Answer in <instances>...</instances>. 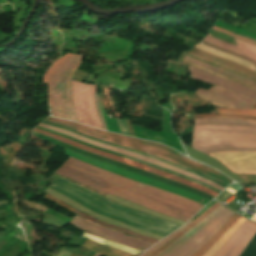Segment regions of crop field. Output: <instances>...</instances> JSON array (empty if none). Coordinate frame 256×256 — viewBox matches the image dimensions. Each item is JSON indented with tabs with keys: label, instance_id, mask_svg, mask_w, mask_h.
I'll return each mask as SVG.
<instances>
[{
	"label": "crop field",
	"instance_id": "5a996713",
	"mask_svg": "<svg viewBox=\"0 0 256 256\" xmlns=\"http://www.w3.org/2000/svg\"><path fill=\"white\" fill-rule=\"evenodd\" d=\"M70 224L76 226L77 228L83 231L93 233L95 235L101 236L103 238L112 240L114 242H117L123 245H127L139 250H141L142 248H145L144 250H141V251H145L147 248L153 245V244H149L147 242L141 241L139 239L131 238L118 231L109 230L107 228L98 226L78 216H76Z\"/></svg>",
	"mask_w": 256,
	"mask_h": 256
},
{
	"label": "crop field",
	"instance_id": "214f88e0",
	"mask_svg": "<svg viewBox=\"0 0 256 256\" xmlns=\"http://www.w3.org/2000/svg\"><path fill=\"white\" fill-rule=\"evenodd\" d=\"M244 221H246V219L241 217L237 222H235L203 256H213L226 243V241L234 234V232L240 227V225Z\"/></svg>",
	"mask_w": 256,
	"mask_h": 256
},
{
	"label": "crop field",
	"instance_id": "22f410ed",
	"mask_svg": "<svg viewBox=\"0 0 256 256\" xmlns=\"http://www.w3.org/2000/svg\"><path fill=\"white\" fill-rule=\"evenodd\" d=\"M256 233V223L246 221L214 256H239Z\"/></svg>",
	"mask_w": 256,
	"mask_h": 256
},
{
	"label": "crop field",
	"instance_id": "5142ce71",
	"mask_svg": "<svg viewBox=\"0 0 256 256\" xmlns=\"http://www.w3.org/2000/svg\"><path fill=\"white\" fill-rule=\"evenodd\" d=\"M225 207L219 206L213 210L208 216H206L200 223H198L194 228H192L188 233H186L182 238L176 241L174 244L169 246L163 252L157 256H170L181 246H183L187 241L194 237L198 232H200L206 225H208Z\"/></svg>",
	"mask_w": 256,
	"mask_h": 256
},
{
	"label": "crop field",
	"instance_id": "3316defc",
	"mask_svg": "<svg viewBox=\"0 0 256 256\" xmlns=\"http://www.w3.org/2000/svg\"><path fill=\"white\" fill-rule=\"evenodd\" d=\"M195 94L218 107L252 109L255 104L253 100L215 86L207 91L198 89Z\"/></svg>",
	"mask_w": 256,
	"mask_h": 256
},
{
	"label": "crop field",
	"instance_id": "00972430",
	"mask_svg": "<svg viewBox=\"0 0 256 256\" xmlns=\"http://www.w3.org/2000/svg\"><path fill=\"white\" fill-rule=\"evenodd\" d=\"M185 61H188V62L197 64V65H200V66L205 67V68H207V69H210V70H212V71L218 72V73H220V74L226 75V76H228V77L234 78V79H236V80L242 81V82H244V83H247V84H250V85L256 87V83H255V82H253V81H251V80H249V79H246V78L237 76V75H235V74H232V73H230V72H227V71H223V70L214 68V67H212V66L206 65V64H204V63H201V62H199V61H197V60H194V59H191V58H188V57H186Z\"/></svg>",
	"mask_w": 256,
	"mask_h": 256
},
{
	"label": "crop field",
	"instance_id": "a9b5d70f",
	"mask_svg": "<svg viewBox=\"0 0 256 256\" xmlns=\"http://www.w3.org/2000/svg\"><path fill=\"white\" fill-rule=\"evenodd\" d=\"M75 213H77V214H79V215H81V216H83V217H85V218H87V219H89V220H91V221H93V222L99 224V225H102V226H104V227H108V228H112V229L119 230V231H121V232H123V233H125V234L135 236V237L140 238V239H142V240H144V241H147V242H150V243H153V244H155L156 242H158V240H154V239H150V238L143 237V236H141V235H139V234H136V233H134V232H132V231H130V230L122 229V228L117 227V226H113V225H110V224L103 223V222H101V221H98V220H96V219H94V218H91V217H89V216H87V215H85V214H83V213H81V212H78V211H76V210H75Z\"/></svg>",
	"mask_w": 256,
	"mask_h": 256
},
{
	"label": "crop field",
	"instance_id": "bd1437ed",
	"mask_svg": "<svg viewBox=\"0 0 256 256\" xmlns=\"http://www.w3.org/2000/svg\"><path fill=\"white\" fill-rule=\"evenodd\" d=\"M218 151H256V149H242V148H217V149H210L202 151L206 154Z\"/></svg>",
	"mask_w": 256,
	"mask_h": 256
},
{
	"label": "crop field",
	"instance_id": "8a807250",
	"mask_svg": "<svg viewBox=\"0 0 256 256\" xmlns=\"http://www.w3.org/2000/svg\"><path fill=\"white\" fill-rule=\"evenodd\" d=\"M56 172L96 190L107 192L184 222L203 208V205L189 199L125 179L72 157Z\"/></svg>",
	"mask_w": 256,
	"mask_h": 256
},
{
	"label": "crop field",
	"instance_id": "34b2d1b8",
	"mask_svg": "<svg viewBox=\"0 0 256 256\" xmlns=\"http://www.w3.org/2000/svg\"><path fill=\"white\" fill-rule=\"evenodd\" d=\"M45 121L76 130L78 132H81V133L88 135L90 137H93V138H97V139H100L103 141H107L110 143H114L117 145H121L124 147H128L131 149H135L138 151H142L145 153L155 155L157 157L163 158L165 160L176 163L183 167L197 171L204 175H208V176L220 181L221 183H223L226 186L228 184L232 183V181L229 180L227 177H225L224 175H222L210 168H207L205 166L199 165L197 163L191 162L189 160H186V159H183L181 157L171 154L172 149L165 147L161 144L152 143V142H148V141H144V140H140V139L124 136V135L99 131V130L88 128V127H85V126H82V125H79L76 123H72V122H69L66 120L55 119V118H51V117H48Z\"/></svg>",
	"mask_w": 256,
	"mask_h": 256
},
{
	"label": "crop field",
	"instance_id": "412701ff",
	"mask_svg": "<svg viewBox=\"0 0 256 256\" xmlns=\"http://www.w3.org/2000/svg\"><path fill=\"white\" fill-rule=\"evenodd\" d=\"M83 58L68 54L58 59L45 74L53 116L77 121L71 101V78Z\"/></svg>",
	"mask_w": 256,
	"mask_h": 256
},
{
	"label": "crop field",
	"instance_id": "ac0d7876",
	"mask_svg": "<svg viewBox=\"0 0 256 256\" xmlns=\"http://www.w3.org/2000/svg\"><path fill=\"white\" fill-rule=\"evenodd\" d=\"M52 177L54 180L50 188L76 200L82 205L102 215L111 217L136 228L156 233L163 237L180 227V225L121 206L57 175L53 174Z\"/></svg>",
	"mask_w": 256,
	"mask_h": 256
},
{
	"label": "crop field",
	"instance_id": "92a150f3",
	"mask_svg": "<svg viewBox=\"0 0 256 256\" xmlns=\"http://www.w3.org/2000/svg\"><path fill=\"white\" fill-rule=\"evenodd\" d=\"M198 124H225V125H250V126H256V121L233 120V119H218V118L195 119L194 125H198Z\"/></svg>",
	"mask_w": 256,
	"mask_h": 256
},
{
	"label": "crop field",
	"instance_id": "eef30255",
	"mask_svg": "<svg viewBox=\"0 0 256 256\" xmlns=\"http://www.w3.org/2000/svg\"><path fill=\"white\" fill-rule=\"evenodd\" d=\"M84 237L86 238H89L93 241H96L100 244H103V245H108V246H111V247H114V248H117V249H120L122 251H125V252H128V253H131L133 255L139 253L140 251H137L135 249H132V248H129V247H126V246H122V245H119V244H116V243H113L111 241H108V240H105V239H102V238H99L97 236H94V235H91L89 233H84L83 235Z\"/></svg>",
	"mask_w": 256,
	"mask_h": 256
},
{
	"label": "crop field",
	"instance_id": "4177f3b9",
	"mask_svg": "<svg viewBox=\"0 0 256 256\" xmlns=\"http://www.w3.org/2000/svg\"><path fill=\"white\" fill-rule=\"evenodd\" d=\"M43 123H45V122H43ZM46 124H49V123H46ZM50 125H53V126H56V127H59V128H63V129L69 130V131H72V130H70V129H67V128H64V127H61V126H58V125H54V124H50ZM72 132H74V131H72ZM75 133H77V132H75ZM77 134H79V133H77ZM79 135L85 136V135H82V134H79ZM85 137H87V136H85ZM88 138H90V137H88ZM91 139H93V138H91ZM94 140H97V139H94ZM97 141H100V140H97ZM100 142H103V141H100ZM103 143H106V144H109V145H112V146H116V147H120V148H123V149H127V150H130V151L139 153V154H141V155H144V156H147V157H150V158H153V159H156V160H159V161L168 163V164L173 165V166H176V167H178V168H181V169H184V170L193 172V173H195V174H197V175H200V176H202V177H204V178H206V179L212 180V181H214V182L220 184V185L223 186V187H226V186H224L223 184H221V183L215 181L214 179H212V178H210V177L204 176V175H202V174H199V173H197V172H194V171H191V170H189V169L183 168V167H181V166L175 165V164H173V163H170V162H168V161H165V160H162V159H160V158L154 157V156H152V155L145 154V153H142V152H138V151H135V150H131V149H128V148H124V147H121V146H117V145H114V144H110V143H107V142H103Z\"/></svg>",
	"mask_w": 256,
	"mask_h": 256
},
{
	"label": "crop field",
	"instance_id": "f4fd0767",
	"mask_svg": "<svg viewBox=\"0 0 256 256\" xmlns=\"http://www.w3.org/2000/svg\"><path fill=\"white\" fill-rule=\"evenodd\" d=\"M192 147L199 151L217 147L256 148V127L194 126Z\"/></svg>",
	"mask_w": 256,
	"mask_h": 256
},
{
	"label": "crop field",
	"instance_id": "e1f06a70",
	"mask_svg": "<svg viewBox=\"0 0 256 256\" xmlns=\"http://www.w3.org/2000/svg\"><path fill=\"white\" fill-rule=\"evenodd\" d=\"M238 200H240L239 198H235L233 201H231L227 206L229 207V208H231V209H233V210H237L239 207H240V203H238V204H236L235 202L236 201H238ZM241 201V200H240ZM243 205V204H242ZM241 205V206H242Z\"/></svg>",
	"mask_w": 256,
	"mask_h": 256
},
{
	"label": "crop field",
	"instance_id": "1d83c4d3",
	"mask_svg": "<svg viewBox=\"0 0 256 256\" xmlns=\"http://www.w3.org/2000/svg\"><path fill=\"white\" fill-rule=\"evenodd\" d=\"M202 117H219V118H235V119L256 120V117H237V116H222V115H196L195 118H202Z\"/></svg>",
	"mask_w": 256,
	"mask_h": 256
},
{
	"label": "crop field",
	"instance_id": "120bbe31",
	"mask_svg": "<svg viewBox=\"0 0 256 256\" xmlns=\"http://www.w3.org/2000/svg\"><path fill=\"white\" fill-rule=\"evenodd\" d=\"M202 43H203V44H206V45H208V46H210V47L216 48V49H218V50L224 51V52H226V53L232 54V55H234V56H237V57H239V58H241V59H244V60H246V61H248V62H252L253 65L256 67V62H254V61H252V60H250V59H247V58L242 57V56H240V55H238V54H235V53H232V52L223 50V49H221V48L215 47V46L210 45V44H208V43H205V42H203V41H202Z\"/></svg>",
	"mask_w": 256,
	"mask_h": 256
},
{
	"label": "crop field",
	"instance_id": "28ad6ade",
	"mask_svg": "<svg viewBox=\"0 0 256 256\" xmlns=\"http://www.w3.org/2000/svg\"><path fill=\"white\" fill-rule=\"evenodd\" d=\"M235 212L225 209L221 212L205 229L187 242L172 256H192L200 247H202L234 214Z\"/></svg>",
	"mask_w": 256,
	"mask_h": 256
},
{
	"label": "crop field",
	"instance_id": "cbeb9de0",
	"mask_svg": "<svg viewBox=\"0 0 256 256\" xmlns=\"http://www.w3.org/2000/svg\"><path fill=\"white\" fill-rule=\"evenodd\" d=\"M189 70H191V78L201 80L213 85L221 86L223 88L248 96L256 100V91L253 89L244 87L242 85L236 84L234 82H231L229 80L207 73L197 68L189 67Z\"/></svg>",
	"mask_w": 256,
	"mask_h": 256
},
{
	"label": "crop field",
	"instance_id": "733c2abd",
	"mask_svg": "<svg viewBox=\"0 0 256 256\" xmlns=\"http://www.w3.org/2000/svg\"><path fill=\"white\" fill-rule=\"evenodd\" d=\"M188 53L194 55V56H197V57H200L202 59H205V60H208V61H211V62H214V63H217V64H220L224 67H227L231 70H234L238 73H241V74H244V75H247L249 77H252V78H255L256 79V72L253 71V70H250L248 68H245L243 66H240L238 64H235V63H232L226 59H222V58H218V57H215V56H212L210 54H207V53H204L202 51H199L195 48H192Z\"/></svg>",
	"mask_w": 256,
	"mask_h": 256
},
{
	"label": "crop field",
	"instance_id": "dd49c442",
	"mask_svg": "<svg viewBox=\"0 0 256 256\" xmlns=\"http://www.w3.org/2000/svg\"><path fill=\"white\" fill-rule=\"evenodd\" d=\"M72 96L79 121L91 127L102 129L94 106V85L72 81Z\"/></svg>",
	"mask_w": 256,
	"mask_h": 256
},
{
	"label": "crop field",
	"instance_id": "b80d0937",
	"mask_svg": "<svg viewBox=\"0 0 256 256\" xmlns=\"http://www.w3.org/2000/svg\"><path fill=\"white\" fill-rule=\"evenodd\" d=\"M254 108H256V105H255V107Z\"/></svg>",
	"mask_w": 256,
	"mask_h": 256
},
{
	"label": "crop field",
	"instance_id": "ae1a2a85",
	"mask_svg": "<svg viewBox=\"0 0 256 256\" xmlns=\"http://www.w3.org/2000/svg\"><path fill=\"white\" fill-rule=\"evenodd\" d=\"M195 48L200 49V50H203V51H205V52H208V53L213 54V55H216V56H220V57L226 58V59H228V60H230V61H233V62H235V63L244 65V66H246V67H248V68H251V69L255 70L254 67H252L250 64H248V63L245 62V61H242V60H239V59H237V58L228 56V55H226V54H224V53H222V52H219V51H217V50H214V49H212V48L202 46V45H200L199 43L195 46ZM255 71H256V70H255Z\"/></svg>",
	"mask_w": 256,
	"mask_h": 256
},
{
	"label": "crop field",
	"instance_id": "d9b57169",
	"mask_svg": "<svg viewBox=\"0 0 256 256\" xmlns=\"http://www.w3.org/2000/svg\"><path fill=\"white\" fill-rule=\"evenodd\" d=\"M204 41L256 60V47L240 40L235 39L237 46L215 39L210 36L206 37Z\"/></svg>",
	"mask_w": 256,
	"mask_h": 256
},
{
	"label": "crop field",
	"instance_id": "4a817a6b",
	"mask_svg": "<svg viewBox=\"0 0 256 256\" xmlns=\"http://www.w3.org/2000/svg\"><path fill=\"white\" fill-rule=\"evenodd\" d=\"M81 246L86 247V248H88L92 251L98 252L100 254H103L105 256H133V255H130L128 253L110 248L108 246L100 245V244H98L96 242H93L89 239H87L84 243H82ZM142 253L143 252H141V253H139L135 256H139Z\"/></svg>",
	"mask_w": 256,
	"mask_h": 256
},
{
	"label": "crop field",
	"instance_id": "730fd06b",
	"mask_svg": "<svg viewBox=\"0 0 256 256\" xmlns=\"http://www.w3.org/2000/svg\"><path fill=\"white\" fill-rule=\"evenodd\" d=\"M37 128H41V127L37 126ZM41 129H44V128H41ZM44 130H46V129H44ZM47 131H49V130H47ZM50 132H52V131H50ZM53 133H55V132H53ZM55 134H58V133H55ZM58 135H61V134H58ZM61 136H64V135H61ZM65 137H67V136H65ZM68 138H69V137H68ZM70 139H73V138H70ZM73 140H75V141H77V142H80V143H82V144H85V145H88V146L97 148V147H95V146L89 145V144L84 143V142H81V141H79V140H76V139H73ZM97 149H100V148H97ZM100 150H103V151H106V152H109V153H112V154H115V155H118V156H121V157L130 159V160H133V161H136V162L145 164V165H149V166L156 167V166H154V165H151V164L142 162V161H140V160H137V159H134V158H131V157H127V156H124V155H121V154H117V153H114V152H110V151H107V150H104V149H100ZM156 168H159V167H156ZM159 169L164 170V171H167V172L172 173V174H175V175H177V176L183 177V178H185V179H187V180L197 182V183H199V184H201V185H203V186H205V187H208V188H210V189H212V190H214V191L220 193V191H218V190H216V189H214V188H212V187H209V186H207V185H205V184H203V183H201V182H199V181L193 180V179H191V178H188V177H185V176L176 174V173H174V172H171V171H168V170H165V169H162V168H159ZM159 169H158V170H159Z\"/></svg>",
	"mask_w": 256,
	"mask_h": 256
},
{
	"label": "crop field",
	"instance_id": "d8731c3e",
	"mask_svg": "<svg viewBox=\"0 0 256 256\" xmlns=\"http://www.w3.org/2000/svg\"><path fill=\"white\" fill-rule=\"evenodd\" d=\"M34 131H37L39 133H42V134H45L47 136H50V137H53V138H56L58 140H61V141H64L66 143H69V144H72L74 146H77V147H80L82 149H85L87 151H90V152H93L95 154H99V155H103V156H106L108 158H111V159H114L116 161H119V162H122L124 164H127V165H131V166H134V167H137V168H141V169H144V170H147V171H150V172H153L155 174H158V175H161V176H164V177H167V178H170V179H173L175 181H178V182H181V183H184V184H187L189 186H192L198 190H201L205 193H208L214 197H216L218 195V193L214 192V191H211L197 183H193V182H189V181H186L180 177H177L175 175H172V174H169L167 172H164V171H161V170H158L156 168H153V167H149V166H145V165H142V164H139V163H136V162H133V161H130V160H127V159H124V158H121V157H118V156H115V155H112V154H109V153H106V152H103V151H100V150H97V149H94V148H91V147H88V146H85V145H82V144H79L77 142H74L68 138H65V137H61V136H58V135H55V134H52L50 132H47V131H44V130H40V129H37V128H34Z\"/></svg>",
	"mask_w": 256,
	"mask_h": 256
},
{
	"label": "crop field",
	"instance_id": "d32e631a",
	"mask_svg": "<svg viewBox=\"0 0 256 256\" xmlns=\"http://www.w3.org/2000/svg\"><path fill=\"white\" fill-rule=\"evenodd\" d=\"M45 198H47V199H49V200H51V201H53V202H55V203H57V204H59V205L65 207L66 209H68V210H70V211H72V212L75 210V209H73V208H71V207H69V206L63 204L62 202H60L59 200H57L56 198H54V197H52V196H50V195H48V194H46Z\"/></svg>",
	"mask_w": 256,
	"mask_h": 256
},
{
	"label": "crop field",
	"instance_id": "e52e79f7",
	"mask_svg": "<svg viewBox=\"0 0 256 256\" xmlns=\"http://www.w3.org/2000/svg\"><path fill=\"white\" fill-rule=\"evenodd\" d=\"M39 126L44 127L46 129H49V130H52V131H56V132L65 134V135L70 136V137H74L76 139H79L81 141H84V142H87L89 144L95 145L97 147L108 149V150H111V151H114V152H118V153H121V154H124V155H127V156H131V157L140 159L142 161H145V162L157 165L159 167H162V168H165V169L177 172L179 174L191 177L193 179H196V180H199L201 182H204V183H206V184H208V185H210V186H212V187H214V188H216V189H218L220 191L225 189V188L219 186L218 184H216L214 182H211L209 180H206V179H204L202 177H199V176H197V175H195L193 173H190V172H187V171L175 168L173 166H170V165H167L165 163H162V162H159V161H156V160H153V159L141 156L139 154H136V153H133V152H130V151H126V150H123V149L115 148V147H112V146H108V145H105V144H101V143H98V142L93 141L91 139L78 136V135H76V134H74L72 132H69V131H66V130H63V129H59V128H56V127H53V126H50V125H46V124H43V123L39 124Z\"/></svg>",
	"mask_w": 256,
	"mask_h": 256
},
{
	"label": "crop field",
	"instance_id": "dafd665d",
	"mask_svg": "<svg viewBox=\"0 0 256 256\" xmlns=\"http://www.w3.org/2000/svg\"><path fill=\"white\" fill-rule=\"evenodd\" d=\"M240 217L241 216L235 213L215 234V236L210 241H208L202 248H200L193 256H202L222 236V234Z\"/></svg>",
	"mask_w": 256,
	"mask_h": 256
},
{
	"label": "crop field",
	"instance_id": "0bd39190",
	"mask_svg": "<svg viewBox=\"0 0 256 256\" xmlns=\"http://www.w3.org/2000/svg\"><path fill=\"white\" fill-rule=\"evenodd\" d=\"M253 219L256 220V216Z\"/></svg>",
	"mask_w": 256,
	"mask_h": 256
},
{
	"label": "crop field",
	"instance_id": "d1516ede",
	"mask_svg": "<svg viewBox=\"0 0 256 256\" xmlns=\"http://www.w3.org/2000/svg\"><path fill=\"white\" fill-rule=\"evenodd\" d=\"M208 155L219 160L234 174H256V152H218Z\"/></svg>",
	"mask_w": 256,
	"mask_h": 256
},
{
	"label": "crop field",
	"instance_id": "bc2a9ffb",
	"mask_svg": "<svg viewBox=\"0 0 256 256\" xmlns=\"http://www.w3.org/2000/svg\"><path fill=\"white\" fill-rule=\"evenodd\" d=\"M219 204H214L212 207H210L206 212H204L200 217H198L194 222H192L188 227H186L184 230H182L180 233L175 235L173 238H171L169 241L164 243L162 246L154 250L153 252L149 253L146 256H156L158 253H160L162 250L167 248L169 245L174 243L177 239H179L181 236H183L187 231H189L192 227H194L198 222H200L206 215H208L214 208H216Z\"/></svg>",
	"mask_w": 256,
	"mask_h": 256
},
{
	"label": "crop field",
	"instance_id": "5866460e",
	"mask_svg": "<svg viewBox=\"0 0 256 256\" xmlns=\"http://www.w3.org/2000/svg\"><path fill=\"white\" fill-rule=\"evenodd\" d=\"M96 94H97V90H96V86H95V101H96L97 113H98V116H99V118H100V120H101V124H102V126H103V129L107 131V129H106L105 125H104V121H103V117H102V114H101L99 105H98V101H97Z\"/></svg>",
	"mask_w": 256,
	"mask_h": 256
},
{
	"label": "crop field",
	"instance_id": "028f5c9d",
	"mask_svg": "<svg viewBox=\"0 0 256 256\" xmlns=\"http://www.w3.org/2000/svg\"><path fill=\"white\" fill-rule=\"evenodd\" d=\"M212 29H215V30H218V31H220V32H223V33H226V34H229V35L238 37V38H240V39H243V40H245V41H248V42L253 43V44L256 45V42H254V41H251V40H248V39L239 37V36H237V35H234V34H232V33L227 32V31H225V30H223V29H220V28H217V27H214V26H212Z\"/></svg>",
	"mask_w": 256,
	"mask_h": 256
},
{
	"label": "crop field",
	"instance_id": "d3111659",
	"mask_svg": "<svg viewBox=\"0 0 256 256\" xmlns=\"http://www.w3.org/2000/svg\"><path fill=\"white\" fill-rule=\"evenodd\" d=\"M215 203V201L209 203L197 216H195L192 221L194 219H196L199 215H201L205 210H207L211 205H213ZM191 223V221H189L188 223H186L184 226L180 227L179 229H177L175 232H173L172 234H170L169 236H167L165 239H163L162 241H160L158 244H156L154 247L150 248L149 250H147L142 256L148 254L149 252L153 251L154 249H156L157 247H159L160 245H162L164 242H166L168 239H170L172 236H174L176 233H178L180 230H182L183 228H185L187 225H189Z\"/></svg>",
	"mask_w": 256,
	"mask_h": 256
},
{
	"label": "crop field",
	"instance_id": "750c4746",
	"mask_svg": "<svg viewBox=\"0 0 256 256\" xmlns=\"http://www.w3.org/2000/svg\"><path fill=\"white\" fill-rule=\"evenodd\" d=\"M218 114L256 116V110H231L216 108Z\"/></svg>",
	"mask_w": 256,
	"mask_h": 256
}]
</instances>
